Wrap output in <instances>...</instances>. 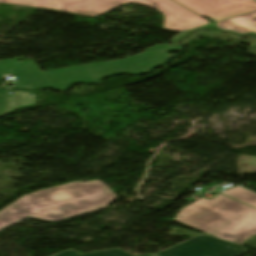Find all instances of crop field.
<instances>
[{
  "label": "crop field",
  "instance_id": "1",
  "mask_svg": "<svg viewBox=\"0 0 256 256\" xmlns=\"http://www.w3.org/2000/svg\"><path fill=\"white\" fill-rule=\"evenodd\" d=\"M116 198L99 180L52 187L30 193L0 211V228L28 215L56 221L104 208Z\"/></svg>",
  "mask_w": 256,
  "mask_h": 256
},
{
  "label": "crop field",
  "instance_id": "2",
  "mask_svg": "<svg viewBox=\"0 0 256 256\" xmlns=\"http://www.w3.org/2000/svg\"><path fill=\"white\" fill-rule=\"evenodd\" d=\"M174 220L237 244L256 234V209L221 194L188 205Z\"/></svg>",
  "mask_w": 256,
  "mask_h": 256
},
{
  "label": "crop field",
  "instance_id": "3",
  "mask_svg": "<svg viewBox=\"0 0 256 256\" xmlns=\"http://www.w3.org/2000/svg\"><path fill=\"white\" fill-rule=\"evenodd\" d=\"M0 3L92 18H96L124 3H136L161 12L164 15L163 29L182 32L209 24L196 13L172 0H0Z\"/></svg>",
  "mask_w": 256,
  "mask_h": 256
},
{
  "label": "crop field",
  "instance_id": "4",
  "mask_svg": "<svg viewBox=\"0 0 256 256\" xmlns=\"http://www.w3.org/2000/svg\"><path fill=\"white\" fill-rule=\"evenodd\" d=\"M181 51V47L170 44H160L146 49L134 57L114 62L96 63L78 67L65 68L44 72L51 85L60 90L66 89L72 82L97 83L99 77L119 72L143 73L153 66L165 63L169 51Z\"/></svg>",
  "mask_w": 256,
  "mask_h": 256
},
{
  "label": "crop field",
  "instance_id": "5",
  "mask_svg": "<svg viewBox=\"0 0 256 256\" xmlns=\"http://www.w3.org/2000/svg\"><path fill=\"white\" fill-rule=\"evenodd\" d=\"M243 246L200 235L154 255L159 256H239Z\"/></svg>",
  "mask_w": 256,
  "mask_h": 256
},
{
  "label": "crop field",
  "instance_id": "6",
  "mask_svg": "<svg viewBox=\"0 0 256 256\" xmlns=\"http://www.w3.org/2000/svg\"><path fill=\"white\" fill-rule=\"evenodd\" d=\"M199 15L217 22L256 10L254 0H174ZM197 14V15H198Z\"/></svg>",
  "mask_w": 256,
  "mask_h": 256
},
{
  "label": "crop field",
  "instance_id": "7",
  "mask_svg": "<svg viewBox=\"0 0 256 256\" xmlns=\"http://www.w3.org/2000/svg\"><path fill=\"white\" fill-rule=\"evenodd\" d=\"M12 71L21 88H26V84L31 86L27 89L51 87L32 60L19 63Z\"/></svg>",
  "mask_w": 256,
  "mask_h": 256
},
{
  "label": "crop field",
  "instance_id": "8",
  "mask_svg": "<svg viewBox=\"0 0 256 256\" xmlns=\"http://www.w3.org/2000/svg\"><path fill=\"white\" fill-rule=\"evenodd\" d=\"M219 29L232 30L238 34L256 33V11L215 23Z\"/></svg>",
  "mask_w": 256,
  "mask_h": 256
},
{
  "label": "crop field",
  "instance_id": "9",
  "mask_svg": "<svg viewBox=\"0 0 256 256\" xmlns=\"http://www.w3.org/2000/svg\"><path fill=\"white\" fill-rule=\"evenodd\" d=\"M33 105H35V94L24 90H14L10 96L8 112Z\"/></svg>",
  "mask_w": 256,
  "mask_h": 256
},
{
  "label": "crop field",
  "instance_id": "10",
  "mask_svg": "<svg viewBox=\"0 0 256 256\" xmlns=\"http://www.w3.org/2000/svg\"><path fill=\"white\" fill-rule=\"evenodd\" d=\"M221 193L256 207V193L244 187H233Z\"/></svg>",
  "mask_w": 256,
  "mask_h": 256
},
{
  "label": "crop field",
  "instance_id": "11",
  "mask_svg": "<svg viewBox=\"0 0 256 256\" xmlns=\"http://www.w3.org/2000/svg\"><path fill=\"white\" fill-rule=\"evenodd\" d=\"M52 256H133V255L125 251H122L118 248H115V249H109V250H104L99 252L87 253L83 255H81L80 253L74 250H66ZM140 256H153V255L147 254V255H140Z\"/></svg>",
  "mask_w": 256,
  "mask_h": 256
},
{
  "label": "crop field",
  "instance_id": "12",
  "mask_svg": "<svg viewBox=\"0 0 256 256\" xmlns=\"http://www.w3.org/2000/svg\"><path fill=\"white\" fill-rule=\"evenodd\" d=\"M19 59L21 58H14L11 60H3L0 61V82L6 72L11 70L15 65L19 63Z\"/></svg>",
  "mask_w": 256,
  "mask_h": 256
},
{
  "label": "crop field",
  "instance_id": "13",
  "mask_svg": "<svg viewBox=\"0 0 256 256\" xmlns=\"http://www.w3.org/2000/svg\"><path fill=\"white\" fill-rule=\"evenodd\" d=\"M7 103V89H0V116L5 114Z\"/></svg>",
  "mask_w": 256,
  "mask_h": 256
}]
</instances>
